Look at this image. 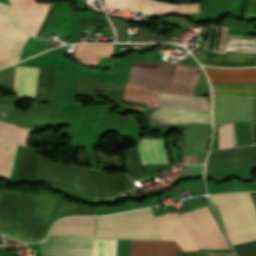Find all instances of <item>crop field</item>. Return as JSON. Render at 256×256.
I'll use <instances>...</instances> for the list:
<instances>
[{
	"instance_id": "obj_27",
	"label": "crop field",
	"mask_w": 256,
	"mask_h": 256,
	"mask_svg": "<svg viewBox=\"0 0 256 256\" xmlns=\"http://www.w3.org/2000/svg\"><path fill=\"white\" fill-rule=\"evenodd\" d=\"M252 128H253V144H256V120L252 121Z\"/></svg>"
},
{
	"instance_id": "obj_24",
	"label": "crop field",
	"mask_w": 256,
	"mask_h": 256,
	"mask_svg": "<svg viewBox=\"0 0 256 256\" xmlns=\"http://www.w3.org/2000/svg\"><path fill=\"white\" fill-rule=\"evenodd\" d=\"M238 256H256V241L233 246Z\"/></svg>"
},
{
	"instance_id": "obj_9",
	"label": "crop field",
	"mask_w": 256,
	"mask_h": 256,
	"mask_svg": "<svg viewBox=\"0 0 256 256\" xmlns=\"http://www.w3.org/2000/svg\"><path fill=\"white\" fill-rule=\"evenodd\" d=\"M24 30L36 36L51 4H37L36 0H10Z\"/></svg>"
},
{
	"instance_id": "obj_6",
	"label": "crop field",
	"mask_w": 256,
	"mask_h": 256,
	"mask_svg": "<svg viewBox=\"0 0 256 256\" xmlns=\"http://www.w3.org/2000/svg\"><path fill=\"white\" fill-rule=\"evenodd\" d=\"M211 83L256 82V68L214 69L204 67ZM217 95L256 97V83L212 84Z\"/></svg>"
},
{
	"instance_id": "obj_18",
	"label": "crop field",
	"mask_w": 256,
	"mask_h": 256,
	"mask_svg": "<svg viewBox=\"0 0 256 256\" xmlns=\"http://www.w3.org/2000/svg\"><path fill=\"white\" fill-rule=\"evenodd\" d=\"M37 71H38V68L25 67V72H24V67H16L14 90L18 92L20 97L22 92V82H23V72H24L22 97L34 98Z\"/></svg>"
},
{
	"instance_id": "obj_19",
	"label": "crop field",
	"mask_w": 256,
	"mask_h": 256,
	"mask_svg": "<svg viewBox=\"0 0 256 256\" xmlns=\"http://www.w3.org/2000/svg\"><path fill=\"white\" fill-rule=\"evenodd\" d=\"M24 44V41L0 37V67L17 62Z\"/></svg>"
},
{
	"instance_id": "obj_30",
	"label": "crop field",
	"mask_w": 256,
	"mask_h": 256,
	"mask_svg": "<svg viewBox=\"0 0 256 256\" xmlns=\"http://www.w3.org/2000/svg\"><path fill=\"white\" fill-rule=\"evenodd\" d=\"M164 54V53H163Z\"/></svg>"
},
{
	"instance_id": "obj_12",
	"label": "crop field",
	"mask_w": 256,
	"mask_h": 256,
	"mask_svg": "<svg viewBox=\"0 0 256 256\" xmlns=\"http://www.w3.org/2000/svg\"><path fill=\"white\" fill-rule=\"evenodd\" d=\"M180 251L175 241L131 240L130 256H177Z\"/></svg>"
},
{
	"instance_id": "obj_21",
	"label": "crop field",
	"mask_w": 256,
	"mask_h": 256,
	"mask_svg": "<svg viewBox=\"0 0 256 256\" xmlns=\"http://www.w3.org/2000/svg\"><path fill=\"white\" fill-rule=\"evenodd\" d=\"M15 148L16 147L13 145L1 143L0 145V176H5V177L9 176Z\"/></svg>"
},
{
	"instance_id": "obj_17",
	"label": "crop field",
	"mask_w": 256,
	"mask_h": 256,
	"mask_svg": "<svg viewBox=\"0 0 256 256\" xmlns=\"http://www.w3.org/2000/svg\"><path fill=\"white\" fill-rule=\"evenodd\" d=\"M139 149L144 164L168 163L162 139H142Z\"/></svg>"
},
{
	"instance_id": "obj_20",
	"label": "crop field",
	"mask_w": 256,
	"mask_h": 256,
	"mask_svg": "<svg viewBox=\"0 0 256 256\" xmlns=\"http://www.w3.org/2000/svg\"><path fill=\"white\" fill-rule=\"evenodd\" d=\"M0 123H2V122H0ZM10 125L0 124V134H7V135H12V136L24 137V138L27 137L29 131L20 129L17 127H13ZM12 136L0 135V141L27 146L29 135H28L27 139L12 137Z\"/></svg>"
},
{
	"instance_id": "obj_28",
	"label": "crop field",
	"mask_w": 256,
	"mask_h": 256,
	"mask_svg": "<svg viewBox=\"0 0 256 256\" xmlns=\"http://www.w3.org/2000/svg\"><path fill=\"white\" fill-rule=\"evenodd\" d=\"M252 198H253V201H254V204H255V207H256V192L254 193H250Z\"/></svg>"
},
{
	"instance_id": "obj_3",
	"label": "crop field",
	"mask_w": 256,
	"mask_h": 256,
	"mask_svg": "<svg viewBox=\"0 0 256 256\" xmlns=\"http://www.w3.org/2000/svg\"><path fill=\"white\" fill-rule=\"evenodd\" d=\"M232 245L256 240V211L248 193L210 196Z\"/></svg>"
},
{
	"instance_id": "obj_29",
	"label": "crop field",
	"mask_w": 256,
	"mask_h": 256,
	"mask_svg": "<svg viewBox=\"0 0 256 256\" xmlns=\"http://www.w3.org/2000/svg\"><path fill=\"white\" fill-rule=\"evenodd\" d=\"M254 157H255V167H256V146H254Z\"/></svg>"
},
{
	"instance_id": "obj_14",
	"label": "crop field",
	"mask_w": 256,
	"mask_h": 256,
	"mask_svg": "<svg viewBox=\"0 0 256 256\" xmlns=\"http://www.w3.org/2000/svg\"><path fill=\"white\" fill-rule=\"evenodd\" d=\"M95 217H70L55 224L50 235L94 234Z\"/></svg>"
},
{
	"instance_id": "obj_11",
	"label": "crop field",
	"mask_w": 256,
	"mask_h": 256,
	"mask_svg": "<svg viewBox=\"0 0 256 256\" xmlns=\"http://www.w3.org/2000/svg\"><path fill=\"white\" fill-rule=\"evenodd\" d=\"M199 60L202 64L214 67H248L256 66V54L234 53L226 55L201 51Z\"/></svg>"
},
{
	"instance_id": "obj_23",
	"label": "crop field",
	"mask_w": 256,
	"mask_h": 256,
	"mask_svg": "<svg viewBox=\"0 0 256 256\" xmlns=\"http://www.w3.org/2000/svg\"><path fill=\"white\" fill-rule=\"evenodd\" d=\"M217 134H218L219 149L234 147L231 123L218 128ZM234 142H235V138H234Z\"/></svg>"
},
{
	"instance_id": "obj_10",
	"label": "crop field",
	"mask_w": 256,
	"mask_h": 256,
	"mask_svg": "<svg viewBox=\"0 0 256 256\" xmlns=\"http://www.w3.org/2000/svg\"><path fill=\"white\" fill-rule=\"evenodd\" d=\"M155 218L163 240H169L170 237V240H176L183 250L198 251L177 213L163 215L169 237L162 216H156Z\"/></svg>"
},
{
	"instance_id": "obj_7",
	"label": "crop field",
	"mask_w": 256,
	"mask_h": 256,
	"mask_svg": "<svg viewBox=\"0 0 256 256\" xmlns=\"http://www.w3.org/2000/svg\"><path fill=\"white\" fill-rule=\"evenodd\" d=\"M38 245L43 255L92 256L94 235L49 236Z\"/></svg>"
},
{
	"instance_id": "obj_25",
	"label": "crop field",
	"mask_w": 256,
	"mask_h": 256,
	"mask_svg": "<svg viewBox=\"0 0 256 256\" xmlns=\"http://www.w3.org/2000/svg\"><path fill=\"white\" fill-rule=\"evenodd\" d=\"M211 256H235L233 253H210ZM181 256H210L209 253L181 252Z\"/></svg>"
},
{
	"instance_id": "obj_22",
	"label": "crop field",
	"mask_w": 256,
	"mask_h": 256,
	"mask_svg": "<svg viewBox=\"0 0 256 256\" xmlns=\"http://www.w3.org/2000/svg\"><path fill=\"white\" fill-rule=\"evenodd\" d=\"M117 240L95 239L93 256H116Z\"/></svg>"
},
{
	"instance_id": "obj_8",
	"label": "crop field",
	"mask_w": 256,
	"mask_h": 256,
	"mask_svg": "<svg viewBox=\"0 0 256 256\" xmlns=\"http://www.w3.org/2000/svg\"><path fill=\"white\" fill-rule=\"evenodd\" d=\"M104 6L160 15L169 13H196L199 12V3L196 4H171L154 0H104Z\"/></svg>"
},
{
	"instance_id": "obj_5",
	"label": "crop field",
	"mask_w": 256,
	"mask_h": 256,
	"mask_svg": "<svg viewBox=\"0 0 256 256\" xmlns=\"http://www.w3.org/2000/svg\"><path fill=\"white\" fill-rule=\"evenodd\" d=\"M198 248L230 249L207 206L179 214Z\"/></svg>"
},
{
	"instance_id": "obj_1",
	"label": "crop field",
	"mask_w": 256,
	"mask_h": 256,
	"mask_svg": "<svg viewBox=\"0 0 256 256\" xmlns=\"http://www.w3.org/2000/svg\"><path fill=\"white\" fill-rule=\"evenodd\" d=\"M70 215H94V209L70 204L56 195L7 190L0 205V232L25 242L45 238L52 224Z\"/></svg>"
},
{
	"instance_id": "obj_13",
	"label": "crop field",
	"mask_w": 256,
	"mask_h": 256,
	"mask_svg": "<svg viewBox=\"0 0 256 256\" xmlns=\"http://www.w3.org/2000/svg\"><path fill=\"white\" fill-rule=\"evenodd\" d=\"M152 114L158 115H173V116H189V117H204V118H211V113H199L193 112L186 109L174 108L171 106H163L152 112ZM158 115H151L150 120L154 121H162V122H171V123H208L211 124V119H204V118H189V117H173V116H158Z\"/></svg>"
},
{
	"instance_id": "obj_26",
	"label": "crop field",
	"mask_w": 256,
	"mask_h": 256,
	"mask_svg": "<svg viewBox=\"0 0 256 256\" xmlns=\"http://www.w3.org/2000/svg\"><path fill=\"white\" fill-rule=\"evenodd\" d=\"M256 15V0H248L245 4V13Z\"/></svg>"
},
{
	"instance_id": "obj_4",
	"label": "crop field",
	"mask_w": 256,
	"mask_h": 256,
	"mask_svg": "<svg viewBox=\"0 0 256 256\" xmlns=\"http://www.w3.org/2000/svg\"><path fill=\"white\" fill-rule=\"evenodd\" d=\"M96 220L95 238L162 240L151 208Z\"/></svg>"
},
{
	"instance_id": "obj_2",
	"label": "crop field",
	"mask_w": 256,
	"mask_h": 256,
	"mask_svg": "<svg viewBox=\"0 0 256 256\" xmlns=\"http://www.w3.org/2000/svg\"><path fill=\"white\" fill-rule=\"evenodd\" d=\"M162 66L135 64L126 85L124 100L151 106ZM176 66H163L152 106L158 105L159 91L192 95L201 70Z\"/></svg>"
},
{
	"instance_id": "obj_15",
	"label": "crop field",
	"mask_w": 256,
	"mask_h": 256,
	"mask_svg": "<svg viewBox=\"0 0 256 256\" xmlns=\"http://www.w3.org/2000/svg\"><path fill=\"white\" fill-rule=\"evenodd\" d=\"M0 24L22 30L11 6L3 3H0ZM2 25H0V36L16 38L25 41L27 40L29 35H27L25 32Z\"/></svg>"
},
{
	"instance_id": "obj_16",
	"label": "crop field",
	"mask_w": 256,
	"mask_h": 256,
	"mask_svg": "<svg viewBox=\"0 0 256 256\" xmlns=\"http://www.w3.org/2000/svg\"><path fill=\"white\" fill-rule=\"evenodd\" d=\"M160 104H172L188 109L209 111L206 97L186 96L160 92L159 105Z\"/></svg>"
}]
</instances>
